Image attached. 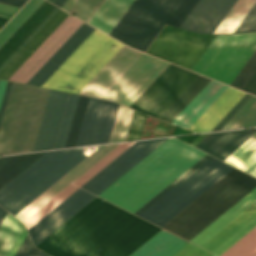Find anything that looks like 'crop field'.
I'll use <instances>...</instances> for the list:
<instances>
[{"label": "crop field", "mask_w": 256, "mask_h": 256, "mask_svg": "<svg viewBox=\"0 0 256 256\" xmlns=\"http://www.w3.org/2000/svg\"><path fill=\"white\" fill-rule=\"evenodd\" d=\"M208 157H202L134 214L141 213ZM233 168L211 156L139 216L161 227ZM254 187L255 178L234 168L162 228L189 241Z\"/></svg>", "instance_id": "crop-field-1"}, {"label": "crop field", "mask_w": 256, "mask_h": 256, "mask_svg": "<svg viewBox=\"0 0 256 256\" xmlns=\"http://www.w3.org/2000/svg\"><path fill=\"white\" fill-rule=\"evenodd\" d=\"M159 230L96 197L36 247L52 256H128Z\"/></svg>", "instance_id": "crop-field-2"}, {"label": "crop field", "mask_w": 256, "mask_h": 256, "mask_svg": "<svg viewBox=\"0 0 256 256\" xmlns=\"http://www.w3.org/2000/svg\"><path fill=\"white\" fill-rule=\"evenodd\" d=\"M175 139L165 140L98 196L132 213L137 211L205 155Z\"/></svg>", "instance_id": "crop-field-3"}, {"label": "crop field", "mask_w": 256, "mask_h": 256, "mask_svg": "<svg viewBox=\"0 0 256 256\" xmlns=\"http://www.w3.org/2000/svg\"><path fill=\"white\" fill-rule=\"evenodd\" d=\"M49 91L13 84L0 128V155L32 150Z\"/></svg>", "instance_id": "crop-field-4"}, {"label": "crop field", "mask_w": 256, "mask_h": 256, "mask_svg": "<svg viewBox=\"0 0 256 256\" xmlns=\"http://www.w3.org/2000/svg\"><path fill=\"white\" fill-rule=\"evenodd\" d=\"M123 46L95 29L42 86L78 93Z\"/></svg>", "instance_id": "crop-field-5"}, {"label": "crop field", "mask_w": 256, "mask_h": 256, "mask_svg": "<svg viewBox=\"0 0 256 256\" xmlns=\"http://www.w3.org/2000/svg\"><path fill=\"white\" fill-rule=\"evenodd\" d=\"M182 0H134L109 35L144 52Z\"/></svg>", "instance_id": "crop-field-6"}, {"label": "crop field", "mask_w": 256, "mask_h": 256, "mask_svg": "<svg viewBox=\"0 0 256 256\" xmlns=\"http://www.w3.org/2000/svg\"><path fill=\"white\" fill-rule=\"evenodd\" d=\"M256 50V33L217 35L192 71L230 85Z\"/></svg>", "instance_id": "crop-field-7"}, {"label": "crop field", "mask_w": 256, "mask_h": 256, "mask_svg": "<svg viewBox=\"0 0 256 256\" xmlns=\"http://www.w3.org/2000/svg\"><path fill=\"white\" fill-rule=\"evenodd\" d=\"M85 148L86 147L64 150L0 202V204L15 215L87 157V155L82 153Z\"/></svg>", "instance_id": "crop-field-8"}, {"label": "crop field", "mask_w": 256, "mask_h": 256, "mask_svg": "<svg viewBox=\"0 0 256 256\" xmlns=\"http://www.w3.org/2000/svg\"><path fill=\"white\" fill-rule=\"evenodd\" d=\"M215 36L165 26L146 53L191 70Z\"/></svg>", "instance_id": "crop-field-9"}, {"label": "crop field", "mask_w": 256, "mask_h": 256, "mask_svg": "<svg viewBox=\"0 0 256 256\" xmlns=\"http://www.w3.org/2000/svg\"><path fill=\"white\" fill-rule=\"evenodd\" d=\"M168 65L142 53L101 98L129 107Z\"/></svg>", "instance_id": "crop-field-10"}, {"label": "crop field", "mask_w": 256, "mask_h": 256, "mask_svg": "<svg viewBox=\"0 0 256 256\" xmlns=\"http://www.w3.org/2000/svg\"><path fill=\"white\" fill-rule=\"evenodd\" d=\"M118 106L90 97L76 146L108 142Z\"/></svg>", "instance_id": "crop-field-11"}, {"label": "crop field", "mask_w": 256, "mask_h": 256, "mask_svg": "<svg viewBox=\"0 0 256 256\" xmlns=\"http://www.w3.org/2000/svg\"><path fill=\"white\" fill-rule=\"evenodd\" d=\"M165 139L167 138L136 142L81 188L98 195Z\"/></svg>", "instance_id": "crop-field-12"}, {"label": "crop field", "mask_w": 256, "mask_h": 256, "mask_svg": "<svg viewBox=\"0 0 256 256\" xmlns=\"http://www.w3.org/2000/svg\"><path fill=\"white\" fill-rule=\"evenodd\" d=\"M82 23L69 15L9 80L26 83Z\"/></svg>", "instance_id": "crop-field-13"}, {"label": "crop field", "mask_w": 256, "mask_h": 256, "mask_svg": "<svg viewBox=\"0 0 256 256\" xmlns=\"http://www.w3.org/2000/svg\"><path fill=\"white\" fill-rule=\"evenodd\" d=\"M95 197L96 196L80 188L76 190L72 195L28 230L34 245L36 246L39 244L43 239L50 235Z\"/></svg>", "instance_id": "crop-field-14"}, {"label": "crop field", "mask_w": 256, "mask_h": 256, "mask_svg": "<svg viewBox=\"0 0 256 256\" xmlns=\"http://www.w3.org/2000/svg\"><path fill=\"white\" fill-rule=\"evenodd\" d=\"M237 0H199L180 28L200 34L213 33Z\"/></svg>", "instance_id": "crop-field-15"}, {"label": "crop field", "mask_w": 256, "mask_h": 256, "mask_svg": "<svg viewBox=\"0 0 256 256\" xmlns=\"http://www.w3.org/2000/svg\"><path fill=\"white\" fill-rule=\"evenodd\" d=\"M69 95L68 93L50 91L32 151L54 148Z\"/></svg>", "instance_id": "crop-field-16"}, {"label": "crop field", "mask_w": 256, "mask_h": 256, "mask_svg": "<svg viewBox=\"0 0 256 256\" xmlns=\"http://www.w3.org/2000/svg\"><path fill=\"white\" fill-rule=\"evenodd\" d=\"M188 73L170 64L130 108L149 114Z\"/></svg>", "instance_id": "crop-field-17"}, {"label": "crop field", "mask_w": 256, "mask_h": 256, "mask_svg": "<svg viewBox=\"0 0 256 256\" xmlns=\"http://www.w3.org/2000/svg\"><path fill=\"white\" fill-rule=\"evenodd\" d=\"M140 54L124 46L79 93L100 97Z\"/></svg>", "instance_id": "crop-field-18"}, {"label": "crop field", "mask_w": 256, "mask_h": 256, "mask_svg": "<svg viewBox=\"0 0 256 256\" xmlns=\"http://www.w3.org/2000/svg\"><path fill=\"white\" fill-rule=\"evenodd\" d=\"M117 145L119 144L106 145L98 148L95 152H93L90 156H88L79 165H77L74 169H72L69 173H67L64 177H62L59 181H57L54 185H52L49 189H47L15 216L22 222L26 220L30 215L42 207L46 202L58 194L62 189H64L67 185H69L72 181H74L77 177H79L83 172H85Z\"/></svg>", "instance_id": "crop-field-19"}, {"label": "crop field", "mask_w": 256, "mask_h": 256, "mask_svg": "<svg viewBox=\"0 0 256 256\" xmlns=\"http://www.w3.org/2000/svg\"><path fill=\"white\" fill-rule=\"evenodd\" d=\"M93 30L83 23L27 83L41 86Z\"/></svg>", "instance_id": "crop-field-20"}, {"label": "crop field", "mask_w": 256, "mask_h": 256, "mask_svg": "<svg viewBox=\"0 0 256 256\" xmlns=\"http://www.w3.org/2000/svg\"><path fill=\"white\" fill-rule=\"evenodd\" d=\"M68 15L69 14L59 9L36 33V35L19 51V53L3 68L0 72V78L8 80Z\"/></svg>", "instance_id": "crop-field-21"}, {"label": "crop field", "mask_w": 256, "mask_h": 256, "mask_svg": "<svg viewBox=\"0 0 256 256\" xmlns=\"http://www.w3.org/2000/svg\"><path fill=\"white\" fill-rule=\"evenodd\" d=\"M256 132V129L209 134L196 147L224 160Z\"/></svg>", "instance_id": "crop-field-22"}, {"label": "crop field", "mask_w": 256, "mask_h": 256, "mask_svg": "<svg viewBox=\"0 0 256 256\" xmlns=\"http://www.w3.org/2000/svg\"><path fill=\"white\" fill-rule=\"evenodd\" d=\"M244 95L245 93L228 87L189 130L210 131Z\"/></svg>", "instance_id": "crop-field-23"}, {"label": "crop field", "mask_w": 256, "mask_h": 256, "mask_svg": "<svg viewBox=\"0 0 256 256\" xmlns=\"http://www.w3.org/2000/svg\"><path fill=\"white\" fill-rule=\"evenodd\" d=\"M226 88L227 86L211 80L178 117L176 116L172 124L188 129Z\"/></svg>", "instance_id": "crop-field-24"}, {"label": "crop field", "mask_w": 256, "mask_h": 256, "mask_svg": "<svg viewBox=\"0 0 256 256\" xmlns=\"http://www.w3.org/2000/svg\"><path fill=\"white\" fill-rule=\"evenodd\" d=\"M55 8L56 7L45 1L38 7V9L0 48V66Z\"/></svg>", "instance_id": "crop-field-25"}, {"label": "crop field", "mask_w": 256, "mask_h": 256, "mask_svg": "<svg viewBox=\"0 0 256 256\" xmlns=\"http://www.w3.org/2000/svg\"><path fill=\"white\" fill-rule=\"evenodd\" d=\"M256 201V188H254L250 193L238 201L234 206L217 218L213 223L201 231L197 236H195L190 242H193L199 246L204 244L213 235L225 227L229 222L246 210L250 205Z\"/></svg>", "instance_id": "crop-field-26"}, {"label": "crop field", "mask_w": 256, "mask_h": 256, "mask_svg": "<svg viewBox=\"0 0 256 256\" xmlns=\"http://www.w3.org/2000/svg\"><path fill=\"white\" fill-rule=\"evenodd\" d=\"M187 242L161 230L130 256H172Z\"/></svg>", "instance_id": "crop-field-27"}, {"label": "crop field", "mask_w": 256, "mask_h": 256, "mask_svg": "<svg viewBox=\"0 0 256 256\" xmlns=\"http://www.w3.org/2000/svg\"><path fill=\"white\" fill-rule=\"evenodd\" d=\"M132 1L105 0L88 24L109 34Z\"/></svg>", "instance_id": "crop-field-28"}, {"label": "crop field", "mask_w": 256, "mask_h": 256, "mask_svg": "<svg viewBox=\"0 0 256 256\" xmlns=\"http://www.w3.org/2000/svg\"><path fill=\"white\" fill-rule=\"evenodd\" d=\"M256 216V202L201 247L213 251Z\"/></svg>", "instance_id": "crop-field-29"}, {"label": "crop field", "mask_w": 256, "mask_h": 256, "mask_svg": "<svg viewBox=\"0 0 256 256\" xmlns=\"http://www.w3.org/2000/svg\"><path fill=\"white\" fill-rule=\"evenodd\" d=\"M44 153L17 155L0 169V189L15 178L19 173L41 157Z\"/></svg>", "instance_id": "crop-field-30"}, {"label": "crop field", "mask_w": 256, "mask_h": 256, "mask_svg": "<svg viewBox=\"0 0 256 256\" xmlns=\"http://www.w3.org/2000/svg\"><path fill=\"white\" fill-rule=\"evenodd\" d=\"M210 79L200 76L180 98L160 117L171 123L190 101L204 88Z\"/></svg>", "instance_id": "crop-field-31"}, {"label": "crop field", "mask_w": 256, "mask_h": 256, "mask_svg": "<svg viewBox=\"0 0 256 256\" xmlns=\"http://www.w3.org/2000/svg\"><path fill=\"white\" fill-rule=\"evenodd\" d=\"M226 160H228V163L244 171L250 167L256 161V133L226 158Z\"/></svg>", "instance_id": "crop-field-32"}, {"label": "crop field", "mask_w": 256, "mask_h": 256, "mask_svg": "<svg viewBox=\"0 0 256 256\" xmlns=\"http://www.w3.org/2000/svg\"><path fill=\"white\" fill-rule=\"evenodd\" d=\"M24 225L8 213L0 225V256H5Z\"/></svg>", "instance_id": "crop-field-33"}, {"label": "crop field", "mask_w": 256, "mask_h": 256, "mask_svg": "<svg viewBox=\"0 0 256 256\" xmlns=\"http://www.w3.org/2000/svg\"><path fill=\"white\" fill-rule=\"evenodd\" d=\"M61 151L63 150L47 152L31 166H29L26 170H24L20 175H18L15 179H13L10 183H8L5 187H3L0 190V201L9 193H11L15 188H17L20 184H22L25 180H27L30 176H32L35 172H37L40 168H42L45 164H47L56 155H58Z\"/></svg>", "instance_id": "crop-field-34"}, {"label": "crop field", "mask_w": 256, "mask_h": 256, "mask_svg": "<svg viewBox=\"0 0 256 256\" xmlns=\"http://www.w3.org/2000/svg\"><path fill=\"white\" fill-rule=\"evenodd\" d=\"M256 0H238L214 33L233 32Z\"/></svg>", "instance_id": "crop-field-35"}, {"label": "crop field", "mask_w": 256, "mask_h": 256, "mask_svg": "<svg viewBox=\"0 0 256 256\" xmlns=\"http://www.w3.org/2000/svg\"><path fill=\"white\" fill-rule=\"evenodd\" d=\"M44 0H29L25 6L0 31V47L23 24Z\"/></svg>", "instance_id": "crop-field-36"}, {"label": "crop field", "mask_w": 256, "mask_h": 256, "mask_svg": "<svg viewBox=\"0 0 256 256\" xmlns=\"http://www.w3.org/2000/svg\"><path fill=\"white\" fill-rule=\"evenodd\" d=\"M198 77L199 75L190 72L150 115L159 118Z\"/></svg>", "instance_id": "crop-field-37"}, {"label": "crop field", "mask_w": 256, "mask_h": 256, "mask_svg": "<svg viewBox=\"0 0 256 256\" xmlns=\"http://www.w3.org/2000/svg\"><path fill=\"white\" fill-rule=\"evenodd\" d=\"M256 126V97L253 96L246 105L222 129Z\"/></svg>", "instance_id": "crop-field-38"}, {"label": "crop field", "mask_w": 256, "mask_h": 256, "mask_svg": "<svg viewBox=\"0 0 256 256\" xmlns=\"http://www.w3.org/2000/svg\"><path fill=\"white\" fill-rule=\"evenodd\" d=\"M78 187L70 184L53 199H51L47 204L35 212L31 217L24 221L27 229L31 228L35 223H37L41 218H43L47 213H49L53 208L60 204L64 199H66L70 194H72Z\"/></svg>", "instance_id": "crop-field-39"}, {"label": "crop field", "mask_w": 256, "mask_h": 256, "mask_svg": "<svg viewBox=\"0 0 256 256\" xmlns=\"http://www.w3.org/2000/svg\"><path fill=\"white\" fill-rule=\"evenodd\" d=\"M221 256H256V227Z\"/></svg>", "instance_id": "crop-field-40"}, {"label": "crop field", "mask_w": 256, "mask_h": 256, "mask_svg": "<svg viewBox=\"0 0 256 256\" xmlns=\"http://www.w3.org/2000/svg\"><path fill=\"white\" fill-rule=\"evenodd\" d=\"M133 143L135 142L122 143L73 183L80 187L91 177H93L97 172H99L102 168H104L107 164H109L112 160H114L117 156H119L123 151L130 147Z\"/></svg>", "instance_id": "crop-field-41"}, {"label": "crop field", "mask_w": 256, "mask_h": 256, "mask_svg": "<svg viewBox=\"0 0 256 256\" xmlns=\"http://www.w3.org/2000/svg\"><path fill=\"white\" fill-rule=\"evenodd\" d=\"M132 109L119 106L115 124L109 142L124 141L127 133L128 125L132 115Z\"/></svg>", "instance_id": "crop-field-42"}, {"label": "crop field", "mask_w": 256, "mask_h": 256, "mask_svg": "<svg viewBox=\"0 0 256 256\" xmlns=\"http://www.w3.org/2000/svg\"><path fill=\"white\" fill-rule=\"evenodd\" d=\"M78 97L79 96H77V95H73V94L70 95L69 102H68V105H67V108H66V112H65V115H64V118H63V122H62V125H61V128H60L59 135H58V138H57L56 145H55L54 149L62 148L65 145L66 138H67L69 128H70V125H71V121H72L74 111H75V108H76V104H77V101H78Z\"/></svg>", "instance_id": "crop-field-43"}, {"label": "crop field", "mask_w": 256, "mask_h": 256, "mask_svg": "<svg viewBox=\"0 0 256 256\" xmlns=\"http://www.w3.org/2000/svg\"><path fill=\"white\" fill-rule=\"evenodd\" d=\"M104 0H76L68 12L87 22L91 19Z\"/></svg>", "instance_id": "crop-field-44"}, {"label": "crop field", "mask_w": 256, "mask_h": 256, "mask_svg": "<svg viewBox=\"0 0 256 256\" xmlns=\"http://www.w3.org/2000/svg\"><path fill=\"white\" fill-rule=\"evenodd\" d=\"M89 97L80 96L65 147L75 146Z\"/></svg>", "instance_id": "crop-field-45"}, {"label": "crop field", "mask_w": 256, "mask_h": 256, "mask_svg": "<svg viewBox=\"0 0 256 256\" xmlns=\"http://www.w3.org/2000/svg\"><path fill=\"white\" fill-rule=\"evenodd\" d=\"M146 115L133 111L130 126L125 141L137 140L141 138L143 127L146 121Z\"/></svg>", "instance_id": "crop-field-46"}, {"label": "crop field", "mask_w": 256, "mask_h": 256, "mask_svg": "<svg viewBox=\"0 0 256 256\" xmlns=\"http://www.w3.org/2000/svg\"><path fill=\"white\" fill-rule=\"evenodd\" d=\"M255 70L256 51L246 63V65L243 67V69L240 71V73L237 75V77L234 79V81L231 83V86L242 89V87L245 85V83L248 81V79L251 77Z\"/></svg>", "instance_id": "crop-field-47"}, {"label": "crop field", "mask_w": 256, "mask_h": 256, "mask_svg": "<svg viewBox=\"0 0 256 256\" xmlns=\"http://www.w3.org/2000/svg\"><path fill=\"white\" fill-rule=\"evenodd\" d=\"M197 2L198 0H184L167 24L179 27Z\"/></svg>", "instance_id": "crop-field-48"}, {"label": "crop field", "mask_w": 256, "mask_h": 256, "mask_svg": "<svg viewBox=\"0 0 256 256\" xmlns=\"http://www.w3.org/2000/svg\"><path fill=\"white\" fill-rule=\"evenodd\" d=\"M256 226V217L250 221L247 225H245L242 229H240L236 234H234L231 238H229L226 242H224L220 247H218L213 253L217 255H221L228 248H230L233 244H235L239 239H241L244 235H246L249 231H251Z\"/></svg>", "instance_id": "crop-field-49"}, {"label": "crop field", "mask_w": 256, "mask_h": 256, "mask_svg": "<svg viewBox=\"0 0 256 256\" xmlns=\"http://www.w3.org/2000/svg\"><path fill=\"white\" fill-rule=\"evenodd\" d=\"M256 30V3L238 25L234 32H246Z\"/></svg>", "instance_id": "crop-field-50"}, {"label": "crop field", "mask_w": 256, "mask_h": 256, "mask_svg": "<svg viewBox=\"0 0 256 256\" xmlns=\"http://www.w3.org/2000/svg\"><path fill=\"white\" fill-rule=\"evenodd\" d=\"M251 97L252 95L246 94L211 131L221 130Z\"/></svg>", "instance_id": "crop-field-51"}, {"label": "crop field", "mask_w": 256, "mask_h": 256, "mask_svg": "<svg viewBox=\"0 0 256 256\" xmlns=\"http://www.w3.org/2000/svg\"><path fill=\"white\" fill-rule=\"evenodd\" d=\"M14 256H47L40 250L33 247L28 235L17 250Z\"/></svg>", "instance_id": "crop-field-52"}, {"label": "crop field", "mask_w": 256, "mask_h": 256, "mask_svg": "<svg viewBox=\"0 0 256 256\" xmlns=\"http://www.w3.org/2000/svg\"><path fill=\"white\" fill-rule=\"evenodd\" d=\"M174 256H212V254L189 243Z\"/></svg>", "instance_id": "crop-field-53"}, {"label": "crop field", "mask_w": 256, "mask_h": 256, "mask_svg": "<svg viewBox=\"0 0 256 256\" xmlns=\"http://www.w3.org/2000/svg\"><path fill=\"white\" fill-rule=\"evenodd\" d=\"M58 10L56 8L47 18L46 20L24 41V43L2 64L0 67V71L2 68L18 53V51L35 35V33L51 18V16Z\"/></svg>", "instance_id": "crop-field-54"}, {"label": "crop field", "mask_w": 256, "mask_h": 256, "mask_svg": "<svg viewBox=\"0 0 256 256\" xmlns=\"http://www.w3.org/2000/svg\"><path fill=\"white\" fill-rule=\"evenodd\" d=\"M12 84L13 83H10V82L7 83V87H6V90H5V93H4L2 104H1V107H0V125H1L3 114H4V111H5V108H6V104H7L8 98H9V94H10V91H11Z\"/></svg>", "instance_id": "crop-field-55"}, {"label": "crop field", "mask_w": 256, "mask_h": 256, "mask_svg": "<svg viewBox=\"0 0 256 256\" xmlns=\"http://www.w3.org/2000/svg\"><path fill=\"white\" fill-rule=\"evenodd\" d=\"M26 235L27 233L24 228L6 256H13L15 254L16 250L18 249V247L20 246V244L22 243Z\"/></svg>", "instance_id": "crop-field-56"}, {"label": "crop field", "mask_w": 256, "mask_h": 256, "mask_svg": "<svg viewBox=\"0 0 256 256\" xmlns=\"http://www.w3.org/2000/svg\"><path fill=\"white\" fill-rule=\"evenodd\" d=\"M243 90L248 91L256 95V71L243 87Z\"/></svg>", "instance_id": "crop-field-57"}, {"label": "crop field", "mask_w": 256, "mask_h": 256, "mask_svg": "<svg viewBox=\"0 0 256 256\" xmlns=\"http://www.w3.org/2000/svg\"><path fill=\"white\" fill-rule=\"evenodd\" d=\"M16 9H17L16 7H12V6H8V5L0 4V11H1V12H5V13L12 14ZM18 9H19V8H18ZM18 9H17V10H18ZM17 10H16V11H17ZM16 11H15V12H16ZM15 12H14V13H15ZM14 13H13V14H14ZM13 14H12V15H13Z\"/></svg>", "instance_id": "crop-field-58"}, {"label": "crop field", "mask_w": 256, "mask_h": 256, "mask_svg": "<svg viewBox=\"0 0 256 256\" xmlns=\"http://www.w3.org/2000/svg\"><path fill=\"white\" fill-rule=\"evenodd\" d=\"M26 1V0H24ZM20 0H0L1 3L21 7L25 2Z\"/></svg>", "instance_id": "crop-field-59"}, {"label": "crop field", "mask_w": 256, "mask_h": 256, "mask_svg": "<svg viewBox=\"0 0 256 256\" xmlns=\"http://www.w3.org/2000/svg\"><path fill=\"white\" fill-rule=\"evenodd\" d=\"M14 156H16V155L0 157V168H1L4 164H6L9 160H11Z\"/></svg>", "instance_id": "crop-field-60"}, {"label": "crop field", "mask_w": 256, "mask_h": 256, "mask_svg": "<svg viewBox=\"0 0 256 256\" xmlns=\"http://www.w3.org/2000/svg\"><path fill=\"white\" fill-rule=\"evenodd\" d=\"M6 83L7 82L0 80V104H1L3 93H4V90H5V87H6Z\"/></svg>", "instance_id": "crop-field-61"}, {"label": "crop field", "mask_w": 256, "mask_h": 256, "mask_svg": "<svg viewBox=\"0 0 256 256\" xmlns=\"http://www.w3.org/2000/svg\"><path fill=\"white\" fill-rule=\"evenodd\" d=\"M75 0H67L65 4L62 6V9L68 11L71 5L74 3Z\"/></svg>", "instance_id": "crop-field-62"}, {"label": "crop field", "mask_w": 256, "mask_h": 256, "mask_svg": "<svg viewBox=\"0 0 256 256\" xmlns=\"http://www.w3.org/2000/svg\"><path fill=\"white\" fill-rule=\"evenodd\" d=\"M0 16L7 17L10 19V15L0 13ZM8 21V19L0 18V28Z\"/></svg>", "instance_id": "crop-field-63"}, {"label": "crop field", "mask_w": 256, "mask_h": 256, "mask_svg": "<svg viewBox=\"0 0 256 256\" xmlns=\"http://www.w3.org/2000/svg\"><path fill=\"white\" fill-rule=\"evenodd\" d=\"M65 1L66 0H54L52 3H54L55 5L61 8V6L64 4Z\"/></svg>", "instance_id": "crop-field-64"}, {"label": "crop field", "mask_w": 256, "mask_h": 256, "mask_svg": "<svg viewBox=\"0 0 256 256\" xmlns=\"http://www.w3.org/2000/svg\"><path fill=\"white\" fill-rule=\"evenodd\" d=\"M7 213H8V212L5 211V213H4L3 216L1 217V219H0V224H1V222L3 221V219L5 218V216L7 215Z\"/></svg>", "instance_id": "crop-field-65"}, {"label": "crop field", "mask_w": 256, "mask_h": 256, "mask_svg": "<svg viewBox=\"0 0 256 256\" xmlns=\"http://www.w3.org/2000/svg\"><path fill=\"white\" fill-rule=\"evenodd\" d=\"M4 211H5V210L0 207V217L2 216V214L4 213Z\"/></svg>", "instance_id": "crop-field-66"}, {"label": "crop field", "mask_w": 256, "mask_h": 256, "mask_svg": "<svg viewBox=\"0 0 256 256\" xmlns=\"http://www.w3.org/2000/svg\"><path fill=\"white\" fill-rule=\"evenodd\" d=\"M252 175L256 176V171H254V172L252 173Z\"/></svg>", "instance_id": "crop-field-67"}, {"label": "crop field", "mask_w": 256, "mask_h": 256, "mask_svg": "<svg viewBox=\"0 0 256 256\" xmlns=\"http://www.w3.org/2000/svg\"><path fill=\"white\" fill-rule=\"evenodd\" d=\"M49 1H51V2H52V0H49Z\"/></svg>", "instance_id": "crop-field-68"}, {"label": "crop field", "mask_w": 256, "mask_h": 256, "mask_svg": "<svg viewBox=\"0 0 256 256\" xmlns=\"http://www.w3.org/2000/svg\"><path fill=\"white\" fill-rule=\"evenodd\" d=\"M214 256V255H213Z\"/></svg>", "instance_id": "crop-field-69"}]
</instances>
